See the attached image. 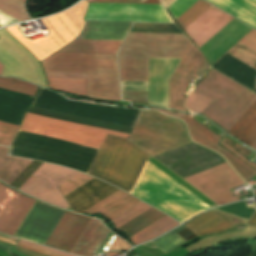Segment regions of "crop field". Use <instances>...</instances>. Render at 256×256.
Wrapping results in <instances>:
<instances>
[{
    "mask_svg": "<svg viewBox=\"0 0 256 256\" xmlns=\"http://www.w3.org/2000/svg\"><path fill=\"white\" fill-rule=\"evenodd\" d=\"M19 130L64 139L96 150L105 134L126 139L130 135L74 124L29 112H26ZM108 135L105 136L87 173L129 193L148 154L129 140ZM147 161L209 206H217L152 157L148 156ZM149 162H146L130 194L171 215L180 222L210 208Z\"/></svg>",
    "mask_w": 256,
    "mask_h": 256,
    "instance_id": "obj_1",
    "label": "crop field"
},
{
    "mask_svg": "<svg viewBox=\"0 0 256 256\" xmlns=\"http://www.w3.org/2000/svg\"><path fill=\"white\" fill-rule=\"evenodd\" d=\"M129 140L152 157L191 143L183 122L144 110ZM154 158L182 178L225 163L222 157L193 143ZM184 179L219 205L239 200L228 189L244 184L227 163Z\"/></svg>",
    "mask_w": 256,
    "mask_h": 256,
    "instance_id": "obj_2",
    "label": "crop field"
},
{
    "mask_svg": "<svg viewBox=\"0 0 256 256\" xmlns=\"http://www.w3.org/2000/svg\"><path fill=\"white\" fill-rule=\"evenodd\" d=\"M184 34L128 33L118 55L121 80L147 81L148 57L182 58Z\"/></svg>",
    "mask_w": 256,
    "mask_h": 256,
    "instance_id": "obj_3",
    "label": "crop field"
},
{
    "mask_svg": "<svg viewBox=\"0 0 256 256\" xmlns=\"http://www.w3.org/2000/svg\"><path fill=\"white\" fill-rule=\"evenodd\" d=\"M44 72L87 73V96L120 100L116 55L55 53Z\"/></svg>",
    "mask_w": 256,
    "mask_h": 256,
    "instance_id": "obj_4",
    "label": "crop field"
},
{
    "mask_svg": "<svg viewBox=\"0 0 256 256\" xmlns=\"http://www.w3.org/2000/svg\"><path fill=\"white\" fill-rule=\"evenodd\" d=\"M195 89L215 99L201 114L228 131L256 100L254 93L213 69Z\"/></svg>",
    "mask_w": 256,
    "mask_h": 256,
    "instance_id": "obj_5",
    "label": "crop field"
},
{
    "mask_svg": "<svg viewBox=\"0 0 256 256\" xmlns=\"http://www.w3.org/2000/svg\"><path fill=\"white\" fill-rule=\"evenodd\" d=\"M86 7L87 3L82 1L59 15L42 19L50 32L47 37L34 41L26 38L18 30V25L6 29L41 61L67 45L79 34L85 24L82 18Z\"/></svg>",
    "mask_w": 256,
    "mask_h": 256,
    "instance_id": "obj_6",
    "label": "crop field"
},
{
    "mask_svg": "<svg viewBox=\"0 0 256 256\" xmlns=\"http://www.w3.org/2000/svg\"><path fill=\"white\" fill-rule=\"evenodd\" d=\"M116 189L94 178L64 197L72 211L80 213ZM125 193L118 189L83 212H98L111 220L141 202Z\"/></svg>",
    "mask_w": 256,
    "mask_h": 256,
    "instance_id": "obj_7",
    "label": "crop field"
},
{
    "mask_svg": "<svg viewBox=\"0 0 256 256\" xmlns=\"http://www.w3.org/2000/svg\"><path fill=\"white\" fill-rule=\"evenodd\" d=\"M84 20L172 23L162 5L90 3Z\"/></svg>",
    "mask_w": 256,
    "mask_h": 256,
    "instance_id": "obj_8",
    "label": "crop field"
},
{
    "mask_svg": "<svg viewBox=\"0 0 256 256\" xmlns=\"http://www.w3.org/2000/svg\"><path fill=\"white\" fill-rule=\"evenodd\" d=\"M77 172L43 163L19 190L66 209L68 205L56 186Z\"/></svg>",
    "mask_w": 256,
    "mask_h": 256,
    "instance_id": "obj_9",
    "label": "crop field"
},
{
    "mask_svg": "<svg viewBox=\"0 0 256 256\" xmlns=\"http://www.w3.org/2000/svg\"><path fill=\"white\" fill-rule=\"evenodd\" d=\"M34 202L0 183V232L14 235Z\"/></svg>",
    "mask_w": 256,
    "mask_h": 256,
    "instance_id": "obj_10",
    "label": "crop field"
},
{
    "mask_svg": "<svg viewBox=\"0 0 256 256\" xmlns=\"http://www.w3.org/2000/svg\"><path fill=\"white\" fill-rule=\"evenodd\" d=\"M203 58L204 57L191 42L169 81V108L187 111L183 107L184 101L182 99V93L195 74Z\"/></svg>",
    "mask_w": 256,
    "mask_h": 256,
    "instance_id": "obj_11",
    "label": "crop field"
},
{
    "mask_svg": "<svg viewBox=\"0 0 256 256\" xmlns=\"http://www.w3.org/2000/svg\"><path fill=\"white\" fill-rule=\"evenodd\" d=\"M178 118H181L186 122L192 140L200 145L211 148L220 153L227 160V162L238 172V174L246 181L256 175V171L254 169H252L250 166H248L246 163L241 161L230 152L222 149L217 145L220 137H218L217 135H215L188 116H181Z\"/></svg>",
    "mask_w": 256,
    "mask_h": 256,
    "instance_id": "obj_12",
    "label": "crop field"
},
{
    "mask_svg": "<svg viewBox=\"0 0 256 256\" xmlns=\"http://www.w3.org/2000/svg\"><path fill=\"white\" fill-rule=\"evenodd\" d=\"M89 221L90 218L65 211L45 245L70 252Z\"/></svg>",
    "mask_w": 256,
    "mask_h": 256,
    "instance_id": "obj_13",
    "label": "crop field"
},
{
    "mask_svg": "<svg viewBox=\"0 0 256 256\" xmlns=\"http://www.w3.org/2000/svg\"><path fill=\"white\" fill-rule=\"evenodd\" d=\"M233 18L211 5L184 30L199 48Z\"/></svg>",
    "mask_w": 256,
    "mask_h": 256,
    "instance_id": "obj_14",
    "label": "crop field"
},
{
    "mask_svg": "<svg viewBox=\"0 0 256 256\" xmlns=\"http://www.w3.org/2000/svg\"><path fill=\"white\" fill-rule=\"evenodd\" d=\"M109 230L99 221L91 219L86 229L71 250L80 256H93L109 234Z\"/></svg>",
    "mask_w": 256,
    "mask_h": 256,
    "instance_id": "obj_15",
    "label": "crop field"
},
{
    "mask_svg": "<svg viewBox=\"0 0 256 256\" xmlns=\"http://www.w3.org/2000/svg\"><path fill=\"white\" fill-rule=\"evenodd\" d=\"M0 88L34 96L38 86L15 79L0 77ZM10 124V123H9ZM0 122V144L10 146V142L18 129L17 126Z\"/></svg>",
    "mask_w": 256,
    "mask_h": 256,
    "instance_id": "obj_16",
    "label": "crop field"
},
{
    "mask_svg": "<svg viewBox=\"0 0 256 256\" xmlns=\"http://www.w3.org/2000/svg\"><path fill=\"white\" fill-rule=\"evenodd\" d=\"M256 28V0H207Z\"/></svg>",
    "mask_w": 256,
    "mask_h": 256,
    "instance_id": "obj_17",
    "label": "crop field"
},
{
    "mask_svg": "<svg viewBox=\"0 0 256 256\" xmlns=\"http://www.w3.org/2000/svg\"><path fill=\"white\" fill-rule=\"evenodd\" d=\"M122 41L75 39L58 52L116 54Z\"/></svg>",
    "mask_w": 256,
    "mask_h": 256,
    "instance_id": "obj_18",
    "label": "crop field"
},
{
    "mask_svg": "<svg viewBox=\"0 0 256 256\" xmlns=\"http://www.w3.org/2000/svg\"><path fill=\"white\" fill-rule=\"evenodd\" d=\"M8 150L0 146V180L9 185L32 160L6 156Z\"/></svg>",
    "mask_w": 256,
    "mask_h": 256,
    "instance_id": "obj_19",
    "label": "crop field"
},
{
    "mask_svg": "<svg viewBox=\"0 0 256 256\" xmlns=\"http://www.w3.org/2000/svg\"><path fill=\"white\" fill-rule=\"evenodd\" d=\"M250 146L256 137V102L229 131Z\"/></svg>",
    "mask_w": 256,
    "mask_h": 256,
    "instance_id": "obj_20",
    "label": "crop field"
},
{
    "mask_svg": "<svg viewBox=\"0 0 256 256\" xmlns=\"http://www.w3.org/2000/svg\"><path fill=\"white\" fill-rule=\"evenodd\" d=\"M178 224L179 223H177L176 221H174L173 219L166 215L161 219L157 220L156 222L152 223L148 227L144 228L143 230L139 231L135 235L131 236L130 240L135 245H137L139 243L146 242L155 238L156 236L160 235L161 233Z\"/></svg>",
    "mask_w": 256,
    "mask_h": 256,
    "instance_id": "obj_21",
    "label": "crop field"
},
{
    "mask_svg": "<svg viewBox=\"0 0 256 256\" xmlns=\"http://www.w3.org/2000/svg\"><path fill=\"white\" fill-rule=\"evenodd\" d=\"M10 1L24 7L23 3L25 0H10ZM10 1L0 0V11L4 12L20 21L29 19L24 8L18 6ZM2 12H0V26L19 22L18 20L14 19Z\"/></svg>",
    "mask_w": 256,
    "mask_h": 256,
    "instance_id": "obj_22",
    "label": "crop field"
},
{
    "mask_svg": "<svg viewBox=\"0 0 256 256\" xmlns=\"http://www.w3.org/2000/svg\"><path fill=\"white\" fill-rule=\"evenodd\" d=\"M164 215L165 214L160 211L152 208L116 230L120 232L123 231L124 234L129 237Z\"/></svg>",
    "mask_w": 256,
    "mask_h": 256,
    "instance_id": "obj_23",
    "label": "crop field"
},
{
    "mask_svg": "<svg viewBox=\"0 0 256 256\" xmlns=\"http://www.w3.org/2000/svg\"><path fill=\"white\" fill-rule=\"evenodd\" d=\"M47 82L52 89L86 96V80L47 78Z\"/></svg>",
    "mask_w": 256,
    "mask_h": 256,
    "instance_id": "obj_24",
    "label": "crop field"
},
{
    "mask_svg": "<svg viewBox=\"0 0 256 256\" xmlns=\"http://www.w3.org/2000/svg\"><path fill=\"white\" fill-rule=\"evenodd\" d=\"M224 221H226V220L223 219L222 217H220L219 215L209 211V212L197 217L196 219L192 220L185 226L187 228H189L190 230H192L194 233H196L198 231H201L203 229L214 226V225L219 224Z\"/></svg>",
    "mask_w": 256,
    "mask_h": 256,
    "instance_id": "obj_25",
    "label": "crop field"
},
{
    "mask_svg": "<svg viewBox=\"0 0 256 256\" xmlns=\"http://www.w3.org/2000/svg\"><path fill=\"white\" fill-rule=\"evenodd\" d=\"M130 32L182 33L174 24L134 23Z\"/></svg>",
    "mask_w": 256,
    "mask_h": 256,
    "instance_id": "obj_26",
    "label": "crop field"
},
{
    "mask_svg": "<svg viewBox=\"0 0 256 256\" xmlns=\"http://www.w3.org/2000/svg\"><path fill=\"white\" fill-rule=\"evenodd\" d=\"M226 53L256 69V52L244 46L243 44L238 42Z\"/></svg>",
    "mask_w": 256,
    "mask_h": 256,
    "instance_id": "obj_27",
    "label": "crop field"
},
{
    "mask_svg": "<svg viewBox=\"0 0 256 256\" xmlns=\"http://www.w3.org/2000/svg\"><path fill=\"white\" fill-rule=\"evenodd\" d=\"M210 5L211 4H209L203 0H199L189 10H187L181 17H179L176 21L184 29L187 25H189L197 16H199Z\"/></svg>",
    "mask_w": 256,
    "mask_h": 256,
    "instance_id": "obj_28",
    "label": "crop field"
},
{
    "mask_svg": "<svg viewBox=\"0 0 256 256\" xmlns=\"http://www.w3.org/2000/svg\"><path fill=\"white\" fill-rule=\"evenodd\" d=\"M214 99L194 90L186 100L185 106L193 111L201 113Z\"/></svg>",
    "mask_w": 256,
    "mask_h": 256,
    "instance_id": "obj_29",
    "label": "crop field"
},
{
    "mask_svg": "<svg viewBox=\"0 0 256 256\" xmlns=\"http://www.w3.org/2000/svg\"><path fill=\"white\" fill-rule=\"evenodd\" d=\"M150 208L152 207L141 202L136 206H134L133 208L129 209L128 211L124 212L123 214L119 215L115 219L111 220V222L115 224V229H116L121 225L125 224L126 222L130 221L131 219L142 214L143 212L147 211Z\"/></svg>",
    "mask_w": 256,
    "mask_h": 256,
    "instance_id": "obj_30",
    "label": "crop field"
},
{
    "mask_svg": "<svg viewBox=\"0 0 256 256\" xmlns=\"http://www.w3.org/2000/svg\"><path fill=\"white\" fill-rule=\"evenodd\" d=\"M92 178L93 177H90L88 175H85V174H82L79 172L57 187L64 196V195L68 194L69 192H71L72 190L76 189L77 187L81 186L82 184L86 183L87 181H89Z\"/></svg>",
    "mask_w": 256,
    "mask_h": 256,
    "instance_id": "obj_31",
    "label": "crop field"
},
{
    "mask_svg": "<svg viewBox=\"0 0 256 256\" xmlns=\"http://www.w3.org/2000/svg\"><path fill=\"white\" fill-rule=\"evenodd\" d=\"M254 209L248 210L245 202L243 201V202H240V203L228 205V206H225L223 208H218V209H215V210L225 212L229 215L236 216L240 219H246V218H249L251 216Z\"/></svg>",
    "mask_w": 256,
    "mask_h": 256,
    "instance_id": "obj_32",
    "label": "crop field"
},
{
    "mask_svg": "<svg viewBox=\"0 0 256 256\" xmlns=\"http://www.w3.org/2000/svg\"><path fill=\"white\" fill-rule=\"evenodd\" d=\"M197 1L198 0H176L171 6L168 7V9L176 20Z\"/></svg>",
    "mask_w": 256,
    "mask_h": 256,
    "instance_id": "obj_33",
    "label": "crop field"
},
{
    "mask_svg": "<svg viewBox=\"0 0 256 256\" xmlns=\"http://www.w3.org/2000/svg\"><path fill=\"white\" fill-rule=\"evenodd\" d=\"M122 100L147 101V92L122 91Z\"/></svg>",
    "mask_w": 256,
    "mask_h": 256,
    "instance_id": "obj_34",
    "label": "crop field"
},
{
    "mask_svg": "<svg viewBox=\"0 0 256 256\" xmlns=\"http://www.w3.org/2000/svg\"><path fill=\"white\" fill-rule=\"evenodd\" d=\"M239 42L256 51V31L252 30Z\"/></svg>",
    "mask_w": 256,
    "mask_h": 256,
    "instance_id": "obj_35",
    "label": "crop field"
},
{
    "mask_svg": "<svg viewBox=\"0 0 256 256\" xmlns=\"http://www.w3.org/2000/svg\"><path fill=\"white\" fill-rule=\"evenodd\" d=\"M89 2L140 3L144 0H88ZM160 2V1H159ZM158 0H145L144 4H159Z\"/></svg>",
    "mask_w": 256,
    "mask_h": 256,
    "instance_id": "obj_36",
    "label": "crop field"
},
{
    "mask_svg": "<svg viewBox=\"0 0 256 256\" xmlns=\"http://www.w3.org/2000/svg\"><path fill=\"white\" fill-rule=\"evenodd\" d=\"M222 143H224V144L230 146L231 148L235 149L236 151L242 153L243 155H245V156H247V157H248V156L250 155V153L252 152V151L246 149L245 147H243L242 145H240V144H238V143H236V142H234V141H230V140L223 139Z\"/></svg>",
    "mask_w": 256,
    "mask_h": 256,
    "instance_id": "obj_37",
    "label": "crop field"
},
{
    "mask_svg": "<svg viewBox=\"0 0 256 256\" xmlns=\"http://www.w3.org/2000/svg\"><path fill=\"white\" fill-rule=\"evenodd\" d=\"M46 77L86 79V74L44 73Z\"/></svg>",
    "mask_w": 256,
    "mask_h": 256,
    "instance_id": "obj_38",
    "label": "crop field"
},
{
    "mask_svg": "<svg viewBox=\"0 0 256 256\" xmlns=\"http://www.w3.org/2000/svg\"><path fill=\"white\" fill-rule=\"evenodd\" d=\"M131 246H129L124 240L120 238H116V240L113 242V244L110 246L108 250H123L126 251Z\"/></svg>",
    "mask_w": 256,
    "mask_h": 256,
    "instance_id": "obj_39",
    "label": "crop field"
},
{
    "mask_svg": "<svg viewBox=\"0 0 256 256\" xmlns=\"http://www.w3.org/2000/svg\"><path fill=\"white\" fill-rule=\"evenodd\" d=\"M230 226H231L230 223H229L228 221H226V222L221 223V224H219V225H217V226H214V227L209 228V229H207V230H204V231H201V232H199V233H196V235L201 236V235H205V234H207V233L217 232V231H220V230H222V229L228 228V227H230Z\"/></svg>",
    "mask_w": 256,
    "mask_h": 256,
    "instance_id": "obj_40",
    "label": "crop field"
},
{
    "mask_svg": "<svg viewBox=\"0 0 256 256\" xmlns=\"http://www.w3.org/2000/svg\"><path fill=\"white\" fill-rule=\"evenodd\" d=\"M18 242L22 243V244L32 246V247H35V248H38V249H42V250H45V251H48V252H51V253H54V254H58V255H61V256H73V255H69V254H66V253H63V252L52 250V249H49V248H46V247H42V246H39V245H36V244H32V243H29V242H26V241L19 240Z\"/></svg>",
    "mask_w": 256,
    "mask_h": 256,
    "instance_id": "obj_41",
    "label": "crop field"
},
{
    "mask_svg": "<svg viewBox=\"0 0 256 256\" xmlns=\"http://www.w3.org/2000/svg\"><path fill=\"white\" fill-rule=\"evenodd\" d=\"M13 249L25 254V255H28V256H44V255H41V254H38V253H35V252H32V251H29V250H26V249H23V248H20V247H17L15 246Z\"/></svg>",
    "mask_w": 256,
    "mask_h": 256,
    "instance_id": "obj_42",
    "label": "crop field"
},
{
    "mask_svg": "<svg viewBox=\"0 0 256 256\" xmlns=\"http://www.w3.org/2000/svg\"><path fill=\"white\" fill-rule=\"evenodd\" d=\"M17 246H20V247H23V248H26V249H29V250H32V251H35V252L44 254V255H48V256H57V255H54V254H51V253H48V252H45V251H41V250H38V249H35V248H32V247H29V246H25V245H22V244H19V243H17Z\"/></svg>",
    "mask_w": 256,
    "mask_h": 256,
    "instance_id": "obj_43",
    "label": "crop field"
},
{
    "mask_svg": "<svg viewBox=\"0 0 256 256\" xmlns=\"http://www.w3.org/2000/svg\"><path fill=\"white\" fill-rule=\"evenodd\" d=\"M207 67H208V64H207V62H206V60H205V58H204L203 62L201 63L199 69H198L197 72H196V75L202 76V74H203L204 71L207 69Z\"/></svg>",
    "mask_w": 256,
    "mask_h": 256,
    "instance_id": "obj_44",
    "label": "crop field"
},
{
    "mask_svg": "<svg viewBox=\"0 0 256 256\" xmlns=\"http://www.w3.org/2000/svg\"><path fill=\"white\" fill-rule=\"evenodd\" d=\"M221 145L225 146L227 149H229L230 151H232L233 153H235L237 156H239L240 158H242L244 161H246L247 163H249L251 166L256 168V165L252 164L251 162L247 161L241 154L237 153L236 151L232 150L231 148H229L228 146L224 145L221 143Z\"/></svg>",
    "mask_w": 256,
    "mask_h": 256,
    "instance_id": "obj_45",
    "label": "crop field"
},
{
    "mask_svg": "<svg viewBox=\"0 0 256 256\" xmlns=\"http://www.w3.org/2000/svg\"><path fill=\"white\" fill-rule=\"evenodd\" d=\"M12 245H9V244H5V243H2L0 242V248L6 250L9 252V250L11 249Z\"/></svg>",
    "mask_w": 256,
    "mask_h": 256,
    "instance_id": "obj_46",
    "label": "crop field"
},
{
    "mask_svg": "<svg viewBox=\"0 0 256 256\" xmlns=\"http://www.w3.org/2000/svg\"><path fill=\"white\" fill-rule=\"evenodd\" d=\"M248 224H256V212H255V214L252 216V218L249 220Z\"/></svg>",
    "mask_w": 256,
    "mask_h": 256,
    "instance_id": "obj_47",
    "label": "crop field"
},
{
    "mask_svg": "<svg viewBox=\"0 0 256 256\" xmlns=\"http://www.w3.org/2000/svg\"><path fill=\"white\" fill-rule=\"evenodd\" d=\"M173 1H175V0H162V2H163V4H164L165 8H166L168 5H170Z\"/></svg>",
    "mask_w": 256,
    "mask_h": 256,
    "instance_id": "obj_48",
    "label": "crop field"
},
{
    "mask_svg": "<svg viewBox=\"0 0 256 256\" xmlns=\"http://www.w3.org/2000/svg\"><path fill=\"white\" fill-rule=\"evenodd\" d=\"M0 240L15 244V241H11V240L4 239V238H1V237H0Z\"/></svg>",
    "mask_w": 256,
    "mask_h": 256,
    "instance_id": "obj_49",
    "label": "crop field"
},
{
    "mask_svg": "<svg viewBox=\"0 0 256 256\" xmlns=\"http://www.w3.org/2000/svg\"><path fill=\"white\" fill-rule=\"evenodd\" d=\"M251 147H253V148L256 149V138H255V140L253 141V143L251 144Z\"/></svg>",
    "mask_w": 256,
    "mask_h": 256,
    "instance_id": "obj_50",
    "label": "crop field"
},
{
    "mask_svg": "<svg viewBox=\"0 0 256 256\" xmlns=\"http://www.w3.org/2000/svg\"><path fill=\"white\" fill-rule=\"evenodd\" d=\"M108 256H114L116 254H119V253H106Z\"/></svg>",
    "mask_w": 256,
    "mask_h": 256,
    "instance_id": "obj_51",
    "label": "crop field"
},
{
    "mask_svg": "<svg viewBox=\"0 0 256 256\" xmlns=\"http://www.w3.org/2000/svg\"><path fill=\"white\" fill-rule=\"evenodd\" d=\"M2 69H3V66L0 64V76L2 74Z\"/></svg>",
    "mask_w": 256,
    "mask_h": 256,
    "instance_id": "obj_52",
    "label": "crop field"
},
{
    "mask_svg": "<svg viewBox=\"0 0 256 256\" xmlns=\"http://www.w3.org/2000/svg\"><path fill=\"white\" fill-rule=\"evenodd\" d=\"M9 254L11 255V256H16L15 254H13L11 251L9 252Z\"/></svg>",
    "mask_w": 256,
    "mask_h": 256,
    "instance_id": "obj_53",
    "label": "crop field"
}]
</instances>
